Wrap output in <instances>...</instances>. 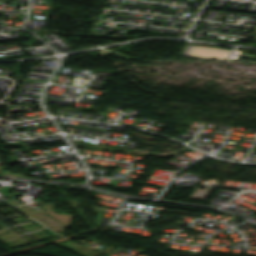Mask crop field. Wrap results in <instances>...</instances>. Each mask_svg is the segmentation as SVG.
<instances>
[{
	"label": "crop field",
	"mask_w": 256,
	"mask_h": 256,
	"mask_svg": "<svg viewBox=\"0 0 256 256\" xmlns=\"http://www.w3.org/2000/svg\"><path fill=\"white\" fill-rule=\"evenodd\" d=\"M35 201L42 207V209L50 217L44 215L43 213L39 212L38 210L28 205L18 207V209L28 214L29 216L37 219L38 221H40L41 223H43L44 225H46L47 227H49L50 229L56 232L62 231L65 228L71 226V218H73L74 216L66 215V214H63V215L56 214L51 209V207L54 206L52 203L45 204L37 199H35Z\"/></svg>",
	"instance_id": "obj_1"
},
{
	"label": "crop field",
	"mask_w": 256,
	"mask_h": 256,
	"mask_svg": "<svg viewBox=\"0 0 256 256\" xmlns=\"http://www.w3.org/2000/svg\"><path fill=\"white\" fill-rule=\"evenodd\" d=\"M7 202H9L10 204H12L14 206L22 204L21 202L15 200V199L7 200Z\"/></svg>",
	"instance_id": "obj_2"
},
{
	"label": "crop field",
	"mask_w": 256,
	"mask_h": 256,
	"mask_svg": "<svg viewBox=\"0 0 256 256\" xmlns=\"http://www.w3.org/2000/svg\"><path fill=\"white\" fill-rule=\"evenodd\" d=\"M2 174H4V175H11V176H17V177H23V178H25V176H21V175H14V174H12V173H10V172H6V171H4Z\"/></svg>",
	"instance_id": "obj_3"
}]
</instances>
